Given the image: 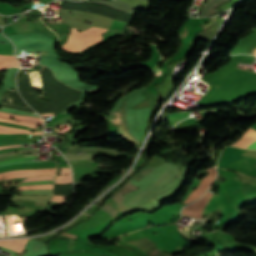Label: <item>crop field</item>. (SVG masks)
I'll return each instance as SVG.
<instances>
[{"label": "crop field", "mask_w": 256, "mask_h": 256, "mask_svg": "<svg viewBox=\"0 0 256 256\" xmlns=\"http://www.w3.org/2000/svg\"><path fill=\"white\" fill-rule=\"evenodd\" d=\"M108 29L91 27L83 32H77L72 29V33L66 44L62 48L68 51H82L91 44L97 43L101 40L102 32Z\"/></svg>", "instance_id": "obj_1"}, {"label": "crop field", "mask_w": 256, "mask_h": 256, "mask_svg": "<svg viewBox=\"0 0 256 256\" xmlns=\"http://www.w3.org/2000/svg\"><path fill=\"white\" fill-rule=\"evenodd\" d=\"M242 149L236 147L224 148L220 159L218 161V166L220 168H227L228 164L234 162L244 156L240 155Z\"/></svg>", "instance_id": "obj_2"}, {"label": "crop field", "mask_w": 256, "mask_h": 256, "mask_svg": "<svg viewBox=\"0 0 256 256\" xmlns=\"http://www.w3.org/2000/svg\"><path fill=\"white\" fill-rule=\"evenodd\" d=\"M0 55L14 56L12 44L0 45ZM9 56H0V71L7 67H14L19 65L14 57Z\"/></svg>", "instance_id": "obj_3"}, {"label": "crop field", "mask_w": 256, "mask_h": 256, "mask_svg": "<svg viewBox=\"0 0 256 256\" xmlns=\"http://www.w3.org/2000/svg\"><path fill=\"white\" fill-rule=\"evenodd\" d=\"M0 121L9 122V123H15V124H21V125H27V126H31V127H35V128L37 126L36 124L18 122V121H14V120L8 121V120L0 119ZM0 133H32V132L31 131H27V130H21V129L9 127V126L0 125ZM33 133H40V134H42V132H38V131H35Z\"/></svg>", "instance_id": "obj_4"}, {"label": "crop field", "mask_w": 256, "mask_h": 256, "mask_svg": "<svg viewBox=\"0 0 256 256\" xmlns=\"http://www.w3.org/2000/svg\"><path fill=\"white\" fill-rule=\"evenodd\" d=\"M254 139H256V131L250 128L241 140L237 141L232 145L241 147ZM243 147L249 149H256V140Z\"/></svg>", "instance_id": "obj_5"}, {"label": "crop field", "mask_w": 256, "mask_h": 256, "mask_svg": "<svg viewBox=\"0 0 256 256\" xmlns=\"http://www.w3.org/2000/svg\"><path fill=\"white\" fill-rule=\"evenodd\" d=\"M28 239H12V240H0V245L8 247L14 251H21L24 243Z\"/></svg>", "instance_id": "obj_6"}, {"label": "crop field", "mask_w": 256, "mask_h": 256, "mask_svg": "<svg viewBox=\"0 0 256 256\" xmlns=\"http://www.w3.org/2000/svg\"><path fill=\"white\" fill-rule=\"evenodd\" d=\"M142 227H144L142 221H137V222L128 223V224L122 226V227H121L113 236H111L110 238L115 237V236H118V235H121V234L126 233V232H129V231H133V230H136V229H140V228H142Z\"/></svg>", "instance_id": "obj_7"}, {"label": "crop field", "mask_w": 256, "mask_h": 256, "mask_svg": "<svg viewBox=\"0 0 256 256\" xmlns=\"http://www.w3.org/2000/svg\"><path fill=\"white\" fill-rule=\"evenodd\" d=\"M53 184H44V185H27L20 186L18 190H27V189H52Z\"/></svg>", "instance_id": "obj_8"}, {"label": "crop field", "mask_w": 256, "mask_h": 256, "mask_svg": "<svg viewBox=\"0 0 256 256\" xmlns=\"http://www.w3.org/2000/svg\"><path fill=\"white\" fill-rule=\"evenodd\" d=\"M0 118H4V119L11 120V119H10V118H11L10 116L0 115ZM12 118H16V120H19V121L38 123V124H42V125H43V122H41V121H35V120H30V119H25V118H17V117H12Z\"/></svg>", "instance_id": "obj_9"}, {"label": "crop field", "mask_w": 256, "mask_h": 256, "mask_svg": "<svg viewBox=\"0 0 256 256\" xmlns=\"http://www.w3.org/2000/svg\"><path fill=\"white\" fill-rule=\"evenodd\" d=\"M55 182L68 183V182H72V178H71V175L57 176Z\"/></svg>", "instance_id": "obj_10"}, {"label": "crop field", "mask_w": 256, "mask_h": 256, "mask_svg": "<svg viewBox=\"0 0 256 256\" xmlns=\"http://www.w3.org/2000/svg\"><path fill=\"white\" fill-rule=\"evenodd\" d=\"M53 180H40V181H30V182H24L19 185H27V184H44V183H52Z\"/></svg>", "instance_id": "obj_11"}, {"label": "crop field", "mask_w": 256, "mask_h": 256, "mask_svg": "<svg viewBox=\"0 0 256 256\" xmlns=\"http://www.w3.org/2000/svg\"><path fill=\"white\" fill-rule=\"evenodd\" d=\"M0 114H7V115H11V116H20V117H25V118L35 119V120H37V119L41 120V118H40V117H35V116L12 115V114L7 113V112H0ZM41 121H42V120H41Z\"/></svg>", "instance_id": "obj_12"}, {"label": "crop field", "mask_w": 256, "mask_h": 256, "mask_svg": "<svg viewBox=\"0 0 256 256\" xmlns=\"http://www.w3.org/2000/svg\"><path fill=\"white\" fill-rule=\"evenodd\" d=\"M53 177L54 176H39V177L27 178L24 181L39 180V179H53Z\"/></svg>", "instance_id": "obj_13"}, {"label": "crop field", "mask_w": 256, "mask_h": 256, "mask_svg": "<svg viewBox=\"0 0 256 256\" xmlns=\"http://www.w3.org/2000/svg\"><path fill=\"white\" fill-rule=\"evenodd\" d=\"M65 197H66V196H53L52 201H56V202H61V203H63Z\"/></svg>", "instance_id": "obj_14"}, {"label": "crop field", "mask_w": 256, "mask_h": 256, "mask_svg": "<svg viewBox=\"0 0 256 256\" xmlns=\"http://www.w3.org/2000/svg\"><path fill=\"white\" fill-rule=\"evenodd\" d=\"M34 157H36V156L22 157V158H17V159H12V160L3 161V162H0V163L12 162V161H17V160H25V159H33Z\"/></svg>", "instance_id": "obj_15"}, {"label": "crop field", "mask_w": 256, "mask_h": 256, "mask_svg": "<svg viewBox=\"0 0 256 256\" xmlns=\"http://www.w3.org/2000/svg\"><path fill=\"white\" fill-rule=\"evenodd\" d=\"M59 174H71L70 168H61Z\"/></svg>", "instance_id": "obj_16"}, {"label": "crop field", "mask_w": 256, "mask_h": 256, "mask_svg": "<svg viewBox=\"0 0 256 256\" xmlns=\"http://www.w3.org/2000/svg\"><path fill=\"white\" fill-rule=\"evenodd\" d=\"M15 146H22L21 145H6V146H0V149H3V148H11V147H15Z\"/></svg>", "instance_id": "obj_17"}, {"label": "crop field", "mask_w": 256, "mask_h": 256, "mask_svg": "<svg viewBox=\"0 0 256 256\" xmlns=\"http://www.w3.org/2000/svg\"><path fill=\"white\" fill-rule=\"evenodd\" d=\"M254 52H255V54H256V49L254 50ZM254 52H253L252 54H254ZM255 54H254V55H255Z\"/></svg>", "instance_id": "obj_18"}, {"label": "crop field", "mask_w": 256, "mask_h": 256, "mask_svg": "<svg viewBox=\"0 0 256 256\" xmlns=\"http://www.w3.org/2000/svg\"><path fill=\"white\" fill-rule=\"evenodd\" d=\"M46 68V67H45ZM45 68H43V69H45ZM43 69H41V70H43ZM41 70H39V71H41ZM40 73V72H39Z\"/></svg>", "instance_id": "obj_19"}]
</instances>
